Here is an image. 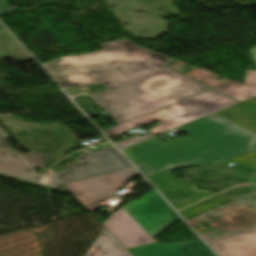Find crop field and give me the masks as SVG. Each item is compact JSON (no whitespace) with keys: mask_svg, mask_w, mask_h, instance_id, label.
Segmentation results:
<instances>
[{"mask_svg":"<svg viewBox=\"0 0 256 256\" xmlns=\"http://www.w3.org/2000/svg\"><path fill=\"white\" fill-rule=\"evenodd\" d=\"M43 65L64 89L99 83L91 96L119 125L211 88L166 67L172 58L124 38Z\"/></svg>","mask_w":256,"mask_h":256,"instance_id":"8a807250","label":"crop field"},{"mask_svg":"<svg viewBox=\"0 0 256 256\" xmlns=\"http://www.w3.org/2000/svg\"><path fill=\"white\" fill-rule=\"evenodd\" d=\"M179 128L189 136L164 143L154 138L123 152L150 176L256 151L255 133L214 114Z\"/></svg>","mask_w":256,"mask_h":256,"instance_id":"ac0d7876","label":"crop field"},{"mask_svg":"<svg viewBox=\"0 0 256 256\" xmlns=\"http://www.w3.org/2000/svg\"><path fill=\"white\" fill-rule=\"evenodd\" d=\"M179 220L154 191L117 210L103 225L134 256H214L200 240L167 245L152 238Z\"/></svg>","mask_w":256,"mask_h":256,"instance_id":"34b2d1b8","label":"crop field"},{"mask_svg":"<svg viewBox=\"0 0 256 256\" xmlns=\"http://www.w3.org/2000/svg\"><path fill=\"white\" fill-rule=\"evenodd\" d=\"M78 158L81 163L54 176H38L34 169L44 165L32 154H18L0 137V173L39 185L58 188L65 183L132 167L114 147L91 151Z\"/></svg>","mask_w":256,"mask_h":256,"instance_id":"412701ff","label":"crop field"},{"mask_svg":"<svg viewBox=\"0 0 256 256\" xmlns=\"http://www.w3.org/2000/svg\"><path fill=\"white\" fill-rule=\"evenodd\" d=\"M237 103L239 102L211 89L121 126L104 131V133L108 137H112L139 125L158 122L157 127L149 130L152 134L116 143L121 149Z\"/></svg>","mask_w":256,"mask_h":256,"instance_id":"f4fd0767","label":"crop field"},{"mask_svg":"<svg viewBox=\"0 0 256 256\" xmlns=\"http://www.w3.org/2000/svg\"><path fill=\"white\" fill-rule=\"evenodd\" d=\"M137 172L134 168H131L65 184L64 186L91 212L103 206L100 202L119 191L134 176L138 175Z\"/></svg>","mask_w":256,"mask_h":256,"instance_id":"dd49c442","label":"crop field"},{"mask_svg":"<svg viewBox=\"0 0 256 256\" xmlns=\"http://www.w3.org/2000/svg\"><path fill=\"white\" fill-rule=\"evenodd\" d=\"M220 256H256V232L211 244Z\"/></svg>","mask_w":256,"mask_h":256,"instance_id":"e52e79f7","label":"crop field"},{"mask_svg":"<svg viewBox=\"0 0 256 256\" xmlns=\"http://www.w3.org/2000/svg\"><path fill=\"white\" fill-rule=\"evenodd\" d=\"M214 114L256 133V105L239 103Z\"/></svg>","mask_w":256,"mask_h":256,"instance_id":"d8731c3e","label":"crop field"},{"mask_svg":"<svg viewBox=\"0 0 256 256\" xmlns=\"http://www.w3.org/2000/svg\"><path fill=\"white\" fill-rule=\"evenodd\" d=\"M86 256H133L107 229Z\"/></svg>","mask_w":256,"mask_h":256,"instance_id":"5a996713","label":"crop field"},{"mask_svg":"<svg viewBox=\"0 0 256 256\" xmlns=\"http://www.w3.org/2000/svg\"><path fill=\"white\" fill-rule=\"evenodd\" d=\"M215 89L241 102L256 96V85H242L234 81Z\"/></svg>","mask_w":256,"mask_h":256,"instance_id":"3316defc","label":"crop field"},{"mask_svg":"<svg viewBox=\"0 0 256 256\" xmlns=\"http://www.w3.org/2000/svg\"><path fill=\"white\" fill-rule=\"evenodd\" d=\"M229 201H231V200L226 199L224 197H221L219 195H216V196H214L212 198H209V199H207L205 201H202V202H200V203H198V204H196L194 206H191V207H189V208H187L185 210H182V211H180V213L186 219H188L190 217L198 215V214H200L202 212H205L207 210L215 208V207H217L219 205H222L224 203H227Z\"/></svg>","mask_w":256,"mask_h":256,"instance_id":"28ad6ade","label":"crop field"},{"mask_svg":"<svg viewBox=\"0 0 256 256\" xmlns=\"http://www.w3.org/2000/svg\"><path fill=\"white\" fill-rule=\"evenodd\" d=\"M256 63V46L250 49ZM245 84H256V71L247 70Z\"/></svg>","mask_w":256,"mask_h":256,"instance_id":"d1516ede","label":"crop field"},{"mask_svg":"<svg viewBox=\"0 0 256 256\" xmlns=\"http://www.w3.org/2000/svg\"><path fill=\"white\" fill-rule=\"evenodd\" d=\"M3 10L12 11V9L4 0H0V14L4 13Z\"/></svg>","mask_w":256,"mask_h":256,"instance_id":"22f410ed","label":"crop field"},{"mask_svg":"<svg viewBox=\"0 0 256 256\" xmlns=\"http://www.w3.org/2000/svg\"><path fill=\"white\" fill-rule=\"evenodd\" d=\"M0 136H2L4 139L9 138V136L2 130L0 127Z\"/></svg>","mask_w":256,"mask_h":256,"instance_id":"cbeb9de0","label":"crop field"},{"mask_svg":"<svg viewBox=\"0 0 256 256\" xmlns=\"http://www.w3.org/2000/svg\"><path fill=\"white\" fill-rule=\"evenodd\" d=\"M243 103H253V104H256V97H255V98H252V99H250V100H248V101H245V102H243Z\"/></svg>","mask_w":256,"mask_h":256,"instance_id":"5142ce71","label":"crop field"}]
</instances>
